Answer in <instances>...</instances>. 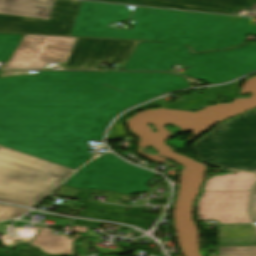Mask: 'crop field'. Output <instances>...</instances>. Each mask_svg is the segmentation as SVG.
<instances>
[{
	"mask_svg": "<svg viewBox=\"0 0 256 256\" xmlns=\"http://www.w3.org/2000/svg\"><path fill=\"white\" fill-rule=\"evenodd\" d=\"M22 37L0 34V62ZM188 87L170 73L41 71L0 78V145L75 169L91 159L86 140L102 141L114 116Z\"/></svg>",
	"mask_w": 256,
	"mask_h": 256,
	"instance_id": "obj_1",
	"label": "crop field"
},
{
	"mask_svg": "<svg viewBox=\"0 0 256 256\" xmlns=\"http://www.w3.org/2000/svg\"><path fill=\"white\" fill-rule=\"evenodd\" d=\"M126 6L82 1L71 35L161 41L166 36L182 38L193 52L223 49L245 43L256 35L247 18L176 12L136 7L131 30H115L109 23L129 19Z\"/></svg>",
	"mask_w": 256,
	"mask_h": 256,
	"instance_id": "obj_2",
	"label": "crop field"
},
{
	"mask_svg": "<svg viewBox=\"0 0 256 256\" xmlns=\"http://www.w3.org/2000/svg\"><path fill=\"white\" fill-rule=\"evenodd\" d=\"M140 42L123 70L171 71L174 64L191 67L186 73L211 84L233 80L256 70V45L203 54H190L182 39Z\"/></svg>",
	"mask_w": 256,
	"mask_h": 256,
	"instance_id": "obj_3",
	"label": "crop field"
},
{
	"mask_svg": "<svg viewBox=\"0 0 256 256\" xmlns=\"http://www.w3.org/2000/svg\"><path fill=\"white\" fill-rule=\"evenodd\" d=\"M74 171L0 146V200L32 207Z\"/></svg>",
	"mask_w": 256,
	"mask_h": 256,
	"instance_id": "obj_4",
	"label": "crop field"
},
{
	"mask_svg": "<svg viewBox=\"0 0 256 256\" xmlns=\"http://www.w3.org/2000/svg\"><path fill=\"white\" fill-rule=\"evenodd\" d=\"M155 175L131 166L109 153L86 164L64 185L131 194L148 191L146 183Z\"/></svg>",
	"mask_w": 256,
	"mask_h": 256,
	"instance_id": "obj_5",
	"label": "crop field"
},
{
	"mask_svg": "<svg viewBox=\"0 0 256 256\" xmlns=\"http://www.w3.org/2000/svg\"><path fill=\"white\" fill-rule=\"evenodd\" d=\"M256 127V110L248 111L212 129L192 145L206 166L230 169Z\"/></svg>",
	"mask_w": 256,
	"mask_h": 256,
	"instance_id": "obj_6",
	"label": "crop field"
},
{
	"mask_svg": "<svg viewBox=\"0 0 256 256\" xmlns=\"http://www.w3.org/2000/svg\"><path fill=\"white\" fill-rule=\"evenodd\" d=\"M75 40L25 35L4 69H43L47 61L66 62Z\"/></svg>",
	"mask_w": 256,
	"mask_h": 256,
	"instance_id": "obj_7",
	"label": "crop field"
},
{
	"mask_svg": "<svg viewBox=\"0 0 256 256\" xmlns=\"http://www.w3.org/2000/svg\"><path fill=\"white\" fill-rule=\"evenodd\" d=\"M80 2L55 0L48 20L0 14V32L69 36Z\"/></svg>",
	"mask_w": 256,
	"mask_h": 256,
	"instance_id": "obj_8",
	"label": "crop field"
},
{
	"mask_svg": "<svg viewBox=\"0 0 256 256\" xmlns=\"http://www.w3.org/2000/svg\"><path fill=\"white\" fill-rule=\"evenodd\" d=\"M137 42L78 38L64 69L98 70L99 62L125 63Z\"/></svg>",
	"mask_w": 256,
	"mask_h": 256,
	"instance_id": "obj_9",
	"label": "crop field"
},
{
	"mask_svg": "<svg viewBox=\"0 0 256 256\" xmlns=\"http://www.w3.org/2000/svg\"><path fill=\"white\" fill-rule=\"evenodd\" d=\"M249 191L203 192L197 203L198 220L250 222L246 215Z\"/></svg>",
	"mask_w": 256,
	"mask_h": 256,
	"instance_id": "obj_10",
	"label": "crop field"
},
{
	"mask_svg": "<svg viewBox=\"0 0 256 256\" xmlns=\"http://www.w3.org/2000/svg\"><path fill=\"white\" fill-rule=\"evenodd\" d=\"M233 15L256 0H93Z\"/></svg>",
	"mask_w": 256,
	"mask_h": 256,
	"instance_id": "obj_11",
	"label": "crop field"
},
{
	"mask_svg": "<svg viewBox=\"0 0 256 256\" xmlns=\"http://www.w3.org/2000/svg\"><path fill=\"white\" fill-rule=\"evenodd\" d=\"M239 82H236L234 84L227 85V86L211 87V89H208V90H204V91L196 92V93L189 94L186 96H182L171 103L163 101V100H161L162 98H160L156 101H153V102L148 103L142 107H139L135 110L132 109V110L136 111L138 109L150 107V106H161L164 108L176 109V110H184V109L192 108V107L202 104L204 102H209L221 95H225V96H229V97L235 96L237 93L238 87L240 85ZM133 111H131V112H133ZM131 112H129V113H131ZM129 113H127V114H129ZM127 114L123 115L122 117H120L118 120H116L114 122L107 137L118 136V135L128 136L120 123V120L123 117H125Z\"/></svg>",
	"mask_w": 256,
	"mask_h": 256,
	"instance_id": "obj_12",
	"label": "crop field"
},
{
	"mask_svg": "<svg viewBox=\"0 0 256 256\" xmlns=\"http://www.w3.org/2000/svg\"><path fill=\"white\" fill-rule=\"evenodd\" d=\"M54 0H0V13L48 18Z\"/></svg>",
	"mask_w": 256,
	"mask_h": 256,
	"instance_id": "obj_13",
	"label": "crop field"
},
{
	"mask_svg": "<svg viewBox=\"0 0 256 256\" xmlns=\"http://www.w3.org/2000/svg\"><path fill=\"white\" fill-rule=\"evenodd\" d=\"M75 232H85L86 227H73L71 230ZM71 232L69 234H71ZM51 230L42 229V231L31 242L32 245L38 246L47 254H72V242L81 235L76 234L73 239H68V236L51 234Z\"/></svg>",
	"mask_w": 256,
	"mask_h": 256,
	"instance_id": "obj_14",
	"label": "crop field"
},
{
	"mask_svg": "<svg viewBox=\"0 0 256 256\" xmlns=\"http://www.w3.org/2000/svg\"><path fill=\"white\" fill-rule=\"evenodd\" d=\"M256 245L251 224L218 225V246Z\"/></svg>",
	"mask_w": 256,
	"mask_h": 256,
	"instance_id": "obj_15",
	"label": "crop field"
},
{
	"mask_svg": "<svg viewBox=\"0 0 256 256\" xmlns=\"http://www.w3.org/2000/svg\"><path fill=\"white\" fill-rule=\"evenodd\" d=\"M255 174L237 172L236 175L209 178L203 191L250 190Z\"/></svg>",
	"mask_w": 256,
	"mask_h": 256,
	"instance_id": "obj_16",
	"label": "crop field"
},
{
	"mask_svg": "<svg viewBox=\"0 0 256 256\" xmlns=\"http://www.w3.org/2000/svg\"><path fill=\"white\" fill-rule=\"evenodd\" d=\"M231 169L256 172V128Z\"/></svg>",
	"mask_w": 256,
	"mask_h": 256,
	"instance_id": "obj_17",
	"label": "crop field"
},
{
	"mask_svg": "<svg viewBox=\"0 0 256 256\" xmlns=\"http://www.w3.org/2000/svg\"><path fill=\"white\" fill-rule=\"evenodd\" d=\"M219 256H256V247L218 248Z\"/></svg>",
	"mask_w": 256,
	"mask_h": 256,
	"instance_id": "obj_18",
	"label": "crop field"
},
{
	"mask_svg": "<svg viewBox=\"0 0 256 256\" xmlns=\"http://www.w3.org/2000/svg\"><path fill=\"white\" fill-rule=\"evenodd\" d=\"M29 210L12 205L0 204V221L18 217Z\"/></svg>",
	"mask_w": 256,
	"mask_h": 256,
	"instance_id": "obj_19",
	"label": "crop field"
},
{
	"mask_svg": "<svg viewBox=\"0 0 256 256\" xmlns=\"http://www.w3.org/2000/svg\"><path fill=\"white\" fill-rule=\"evenodd\" d=\"M0 256H40V255H38L35 250L22 248L10 254H0Z\"/></svg>",
	"mask_w": 256,
	"mask_h": 256,
	"instance_id": "obj_20",
	"label": "crop field"
},
{
	"mask_svg": "<svg viewBox=\"0 0 256 256\" xmlns=\"http://www.w3.org/2000/svg\"><path fill=\"white\" fill-rule=\"evenodd\" d=\"M250 214L253 218V221L256 222V191H253V193H252V199H251V205H250Z\"/></svg>",
	"mask_w": 256,
	"mask_h": 256,
	"instance_id": "obj_21",
	"label": "crop field"
},
{
	"mask_svg": "<svg viewBox=\"0 0 256 256\" xmlns=\"http://www.w3.org/2000/svg\"><path fill=\"white\" fill-rule=\"evenodd\" d=\"M116 139H124L125 141H132V140H134L132 137H120V138H116ZM106 140H115V139H106Z\"/></svg>",
	"mask_w": 256,
	"mask_h": 256,
	"instance_id": "obj_22",
	"label": "crop field"
},
{
	"mask_svg": "<svg viewBox=\"0 0 256 256\" xmlns=\"http://www.w3.org/2000/svg\"><path fill=\"white\" fill-rule=\"evenodd\" d=\"M205 105H207V103H204V104L199 105V106H197V107H194V108H192V109H196V108H198V107L205 106Z\"/></svg>",
	"mask_w": 256,
	"mask_h": 256,
	"instance_id": "obj_23",
	"label": "crop field"
},
{
	"mask_svg": "<svg viewBox=\"0 0 256 256\" xmlns=\"http://www.w3.org/2000/svg\"><path fill=\"white\" fill-rule=\"evenodd\" d=\"M253 190H256V185H255V187H254V189Z\"/></svg>",
	"mask_w": 256,
	"mask_h": 256,
	"instance_id": "obj_24",
	"label": "crop field"
}]
</instances>
